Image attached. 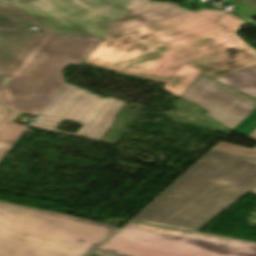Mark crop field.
<instances>
[{"label":"crop field","mask_w":256,"mask_h":256,"mask_svg":"<svg viewBox=\"0 0 256 256\" xmlns=\"http://www.w3.org/2000/svg\"><path fill=\"white\" fill-rule=\"evenodd\" d=\"M123 105L115 98L102 99L65 83L32 127L100 141ZM65 120L84 125L77 135L56 130Z\"/></svg>","instance_id":"6"},{"label":"crop field","mask_w":256,"mask_h":256,"mask_svg":"<svg viewBox=\"0 0 256 256\" xmlns=\"http://www.w3.org/2000/svg\"><path fill=\"white\" fill-rule=\"evenodd\" d=\"M251 192L256 193V187Z\"/></svg>","instance_id":"15"},{"label":"crop field","mask_w":256,"mask_h":256,"mask_svg":"<svg viewBox=\"0 0 256 256\" xmlns=\"http://www.w3.org/2000/svg\"><path fill=\"white\" fill-rule=\"evenodd\" d=\"M99 249L126 256H256V244L133 222Z\"/></svg>","instance_id":"5"},{"label":"crop field","mask_w":256,"mask_h":256,"mask_svg":"<svg viewBox=\"0 0 256 256\" xmlns=\"http://www.w3.org/2000/svg\"><path fill=\"white\" fill-rule=\"evenodd\" d=\"M19 115L10 111L0 123V141L15 144L20 136L29 127L18 125L12 122Z\"/></svg>","instance_id":"9"},{"label":"crop field","mask_w":256,"mask_h":256,"mask_svg":"<svg viewBox=\"0 0 256 256\" xmlns=\"http://www.w3.org/2000/svg\"><path fill=\"white\" fill-rule=\"evenodd\" d=\"M249 137L256 139V130H254L249 135ZM212 149H216V150H220V151L256 159V147L250 149V148H246V147H242V146H238V145L220 141L214 147H212Z\"/></svg>","instance_id":"10"},{"label":"crop field","mask_w":256,"mask_h":256,"mask_svg":"<svg viewBox=\"0 0 256 256\" xmlns=\"http://www.w3.org/2000/svg\"><path fill=\"white\" fill-rule=\"evenodd\" d=\"M255 186L256 160L210 149L132 221L196 232Z\"/></svg>","instance_id":"3"},{"label":"crop field","mask_w":256,"mask_h":256,"mask_svg":"<svg viewBox=\"0 0 256 256\" xmlns=\"http://www.w3.org/2000/svg\"><path fill=\"white\" fill-rule=\"evenodd\" d=\"M6 2L49 31L31 30L34 22L0 3V103L18 113L39 115L65 83L63 71L79 66L101 39L56 34Z\"/></svg>","instance_id":"2"},{"label":"crop field","mask_w":256,"mask_h":256,"mask_svg":"<svg viewBox=\"0 0 256 256\" xmlns=\"http://www.w3.org/2000/svg\"><path fill=\"white\" fill-rule=\"evenodd\" d=\"M237 1L256 11V0H237Z\"/></svg>","instance_id":"13"},{"label":"crop field","mask_w":256,"mask_h":256,"mask_svg":"<svg viewBox=\"0 0 256 256\" xmlns=\"http://www.w3.org/2000/svg\"><path fill=\"white\" fill-rule=\"evenodd\" d=\"M56 33L103 38L84 63L166 83L181 97L212 78L256 66L234 15L151 0H10Z\"/></svg>","instance_id":"1"},{"label":"crop field","mask_w":256,"mask_h":256,"mask_svg":"<svg viewBox=\"0 0 256 256\" xmlns=\"http://www.w3.org/2000/svg\"><path fill=\"white\" fill-rule=\"evenodd\" d=\"M256 128V110L233 130L248 136Z\"/></svg>","instance_id":"11"},{"label":"crop field","mask_w":256,"mask_h":256,"mask_svg":"<svg viewBox=\"0 0 256 256\" xmlns=\"http://www.w3.org/2000/svg\"><path fill=\"white\" fill-rule=\"evenodd\" d=\"M216 80L256 98V67L219 77Z\"/></svg>","instance_id":"8"},{"label":"crop field","mask_w":256,"mask_h":256,"mask_svg":"<svg viewBox=\"0 0 256 256\" xmlns=\"http://www.w3.org/2000/svg\"><path fill=\"white\" fill-rule=\"evenodd\" d=\"M4 157V155L3 154H0V161H1V159Z\"/></svg>","instance_id":"16"},{"label":"crop field","mask_w":256,"mask_h":256,"mask_svg":"<svg viewBox=\"0 0 256 256\" xmlns=\"http://www.w3.org/2000/svg\"><path fill=\"white\" fill-rule=\"evenodd\" d=\"M9 111L10 110L0 105V122L7 115ZM12 146H13L12 144L0 142V153L6 154Z\"/></svg>","instance_id":"12"},{"label":"crop field","mask_w":256,"mask_h":256,"mask_svg":"<svg viewBox=\"0 0 256 256\" xmlns=\"http://www.w3.org/2000/svg\"><path fill=\"white\" fill-rule=\"evenodd\" d=\"M182 98L211 112L209 116L231 129L256 109V99L241 94L202 74Z\"/></svg>","instance_id":"7"},{"label":"crop field","mask_w":256,"mask_h":256,"mask_svg":"<svg viewBox=\"0 0 256 256\" xmlns=\"http://www.w3.org/2000/svg\"><path fill=\"white\" fill-rule=\"evenodd\" d=\"M117 230L0 202V256H89Z\"/></svg>","instance_id":"4"},{"label":"crop field","mask_w":256,"mask_h":256,"mask_svg":"<svg viewBox=\"0 0 256 256\" xmlns=\"http://www.w3.org/2000/svg\"><path fill=\"white\" fill-rule=\"evenodd\" d=\"M90 256H118V255H114V254H110V253H106V252H102V251H98L96 250L93 254H91Z\"/></svg>","instance_id":"14"}]
</instances>
